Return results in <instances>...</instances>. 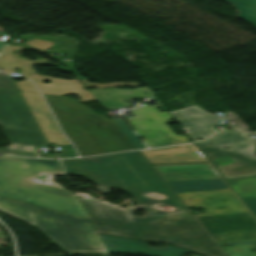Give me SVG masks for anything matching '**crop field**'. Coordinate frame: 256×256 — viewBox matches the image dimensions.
<instances>
[{"label": "crop field", "instance_id": "crop-field-7", "mask_svg": "<svg viewBox=\"0 0 256 256\" xmlns=\"http://www.w3.org/2000/svg\"><path fill=\"white\" fill-rule=\"evenodd\" d=\"M196 145L225 179L256 174L255 145L242 131H223Z\"/></svg>", "mask_w": 256, "mask_h": 256}, {"label": "crop field", "instance_id": "crop-field-18", "mask_svg": "<svg viewBox=\"0 0 256 256\" xmlns=\"http://www.w3.org/2000/svg\"><path fill=\"white\" fill-rule=\"evenodd\" d=\"M32 64H37V65H48V66H60L59 69H63L66 71L72 72L70 69L63 67L61 65H51L47 59H41L37 58L36 61L29 60V73H34V75H29V78H34V79H40V80H47V81H57V82H67V83H77L81 84L78 79L74 80H66V79H60V78H51L49 76H42V75H36L35 69H32Z\"/></svg>", "mask_w": 256, "mask_h": 256}, {"label": "crop field", "instance_id": "crop-field-13", "mask_svg": "<svg viewBox=\"0 0 256 256\" xmlns=\"http://www.w3.org/2000/svg\"><path fill=\"white\" fill-rule=\"evenodd\" d=\"M91 92L95 96L96 100L107 109L131 105L124 102V100L126 99L138 97H153L155 95L154 93V95L152 94L148 87L135 88L133 90L111 88L94 90ZM143 92H148V94H143ZM112 97L114 98L112 99Z\"/></svg>", "mask_w": 256, "mask_h": 256}, {"label": "crop field", "instance_id": "crop-field-20", "mask_svg": "<svg viewBox=\"0 0 256 256\" xmlns=\"http://www.w3.org/2000/svg\"><path fill=\"white\" fill-rule=\"evenodd\" d=\"M0 88L16 89L18 90L12 77L0 72Z\"/></svg>", "mask_w": 256, "mask_h": 256}, {"label": "crop field", "instance_id": "crop-field-6", "mask_svg": "<svg viewBox=\"0 0 256 256\" xmlns=\"http://www.w3.org/2000/svg\"><path fill=\"white\" fill-rule=\"evenodd\" d=\"M0 122L12 143L2 154L36 157L35 146L49 145L21 92L0 89Z\"/></svg>", "mask_w": 256, "mask_h": 256}, {"label": "crop field", "instance_id": "crop-field-4", "mask_svg": "<svg viewBox=\"0 0 256 256\" xmlns=\"http://www.w3.org/2000/svg\"><path fill=\"white\" fill-rule=\"evenodd\" d=\"M61 172L58 161L0 157V196L88 217L75 194L29 180L40 173Z\"/></svg>", "mask_w": 256, "mask_h": 256}, {"label": "crop field", "instance_id": "crop-field-8", "mask_svg": "<svg viewBox=\"0 0 256 256\" xmlns=\"http://www.w3.org/2000/svg\"><path fill=\"white\" fill-rule=\"evenodd\" d=\"M156 106L142 104L133 109L135 116L125 119L142 137L149 147L186 143L187 136L174 133L166 122H171V114L168 111L160 112L156 107L162 106L161 102Z\"/></svg>", "mask_w": 256, "mask_h": 256}, {"label": "crop field", "instance_id": "crop-field-5", "mask_svg": "<svg viewBox=\"0 0 256 256\" xmlns=\"http://www.w3.org/2000/svg\"><path fill=\"white\" fill-rule=\"evenodd\" d=\"M0 210L36 226L69 253L107 254L89 220L2 197Z\"/></svg>", "mask_w": 256, "mask_h": 256}, {"label": "crop field", "instance_id": "crop-field-2", "mask_svg": "<svg viewBox=\"0 0 256 256\" xmlns=\"http://www.w3.org/2000/svg\"><path fill=\"white\" fill-rule=\"evenodd\" d=\"M167 183L187 207L207 211L195 216L219 245H233L222 247L227 254L256 255V220L221 179Z\"/></svg>", "mask_w": 256, "mask_h": 256}, {"label": "crop field", "instance_id": "crop-field-12", "mask_svg": "<svg viewBox=\"0 0 256 256\" xmlns=\"http://www.w3.org/2000/svg\"><path fill=\"white\" fill-rule=\"evenodd\" d=\"M151 164L206 162L190 144L141 151Z\"/></svg>", "mask_w": 256, "mask_h": 256}, {"label": "crop field", "instance_id": "crop-field-16", "mask_svg": "<svg viewBox=\"0 0 256 256\" xmlns=\"http://www.w3.org/2000/svg\"><path fill=\"white\" fill-rule=\"evenodd\" d=\"M6 45L4 51L0 55V69L8 74L14 73L16 68L22 69V77H27L28 59L20 56V52L24 47ZM18 53L15 55V51Z\"/></svg>", "mask_w": 256, "mask_h": 256}, {"label": "crop field", "instance_id": "crop-field-24", "mask_svg": "<svg viewBox=\"0 0 256 256\" xmlns=\"http://www.w3.org/2000/svg\"><path fill=\"white\" fill-rule=\"evenodd\" d=\"M152 196V198L154 199H163V198H166L165 196L163 195H159V194H154V193H148Z\"/></svg>", "mask_w": 256, "mask_h": 256}, {"label": "crop field", "instance_id": "crop-field-1", "mask_svg": "<svg viewBox=\"0 0 256 256\" xmlns=\"http://www.w3.org/2000/svg\"><path fill=\"white\" fill-rule=\"evenodd\" d=\"M61 162L67 173L98 184L100 191L108 193L110 188L116 187L131 194L146 211L147 216L128 220L119 205L93 196L80 197L98 232L168 242L209 256H227L140 152ZM147 192L163 194L167 199H151ZM156 204L172 206L176 210L165 212L154 207Z\"/></svg>", "mask_w": 256, "mask_h": 256}, {"label": "crop field", "instance_id": "crop-field-21", "mask_svg": "<svg viewBox=\"0 0 256 256\" xmlns=\"http://www.w3.org/2000/svg\"><path fill=\"white\" fill-rule=\"evenodd\" d=\"M227 114V119L237 123L239 127L243 130L249 129V127L241 120L239 116L235 114V112H226Z\"/></svg>", "mask_w": 256, "mask_h": 256}, {"label": "crop field", "instance_id": "crop-field-3", "mask_svg": "<svg viewBox=\"0 0 256 256\" xmlns=\"http://www.w3.org/2000/svg\"><path fill=\"white\" fill-rule=\"evenodd\" d=\"M44 96L81 156L137 149L114 120H106L71 98Z\"/></svg>", "mask_w": 256, "mask_h": 256}, {"label": "crop field", "instance_id": "crop-field-25", "mask_svg": "<svg viewBox=\"0 0 256 256\" xmlns=\"http://www.w3.org/2000/svg\"><path fill=\"white\" fill-rule=\"evenodd\" d=\"M4 44H5V43L0 42V51H1V49L3 48Z\"/></svg>", "mask_w": 256, "mask_h": 256}, {"label": "crop field", "instance_id": "crop-field-28", "mask_svg": "<svg viewBox=\"0 0 256 256\" xmlns=\"http://www.w3.org/2000/svg\"><path fill=\"white\" fill-rule=\"evenodd\" d=\"M255 143H256V140H255Z\"/></svg>", "mask_w": 256, "mask_h": 256}, {"label": "crop field", "instance_id": "crop-field-14", "mask_svg": "<svg viewBox=\"0 0 256 256\" xmlns=\"http://www.w3.org/2000/svg\"><path fill=\"white\" fill-rule=\"evenodd\" d=\"M227 182L256 217V176Z\"/></svg>", "mask_w": 256, "mask_h": 256}, {"label": "crop field", "instance_id": "crop-field-11", "mask_svg": "<svg viewBox=\"0 0 256 256\" xmlns=\"http://www.w3.org/2000/svg\"><path fill=\"white\" fill-rule=\"evenodd\" d=\"M99 236L108 254L116 252H139L157 256H181L183 253L189 252L188 250L175 248L167 244L166 248H153L148 247L146 242L142 241H135L100 234Z\"/></svg>", "mask_w": 256, "mask_h": 256}, {"label": "crop field", "instance_id": "crop-field-26", "mask_svg": "<svg viewBox=\"0 0 256 256\" xmlns=\"http://www.w3.org/2000/svg\"><path fill=\"white\" fill-rule=\"evenodd\" d=\"M2 34H4V32H1V31H0V36H1Z\"/></svg>", "mask_w": 256, "mask_h": 256}, {"label": "crop field", "instance_id": "crop-field-23", "mask_svg": "<svg viewBox=\"0 0 256 256\" xmlns=\"http://www.w3.org/2000/svg\"><path fill=\"white\" fill-rule=\"evenodd\" d=\"M135 208H140L139 206H136V207H131V208H125L124 211L128 217V219H131V218H135V217H140V216H134L131 209H135ZM144 216V215H143Z\"/></svg>", "mask_w": 256, "mask_h": 256}, {"label": "crop field", "instance_id": "crop-field-15", "mask_svg": "<svg viewBox=\"0 0 256 256\" xmlns=\"http://www.w3.org/2000/svg\"><path fill=\"white\" fill-rule=\"evenodd\" d=\"M34 81L42 93L59 94V95L77 94L81 97V100H80L81 102L95 100L91 92L89 90L84 89L82 85L57 83V82L45 84L40 80H34Z\"/></svg>", "mask_w": 256, "mask_h": 256}, {"label": "crop field", "instance_id": "crop-field-9", "mask_svg": "<svg viewBox=\"0 0 256 256\" xmlns=\"http://www.w3.org/2000/svg\"><path fill=\"white\" fill-rule=\"evenodd\" d=\"M170 113L180 123L193 141H198V138L204 139L217 132L214 126L223 119L219 116L207 113L196 106L172 111Z\"/></svg>", "mask_w": 256, "mask_h": 256}, {"label": "crop field", "instance_id": "crop-field-22", "mask_svg": "<svg viewBox=\"0 0 256 256\" xmlns=\"http://www.w3.org/2000/svg\"><path fill=\"white\" fill-rule=\"evenodd\" d=\"M20 90H26V91H35L38 92L37 89L33 86V84L30 82V80L22 81V82H16Z\"/></svg>", "mask_w": 256, "mask_h": 256}, {"label": "crop field", "instance_id": "crop-field-10", "mask_svg": "<svg viewBox=\"0 0 256 256\" xmlns=\"http://www.w3.org/2000/svg\"><path fill=\"white\" fill-rule=\"evenodd\" d=\"M27 104L38 121L49 144L70 143L59 130L51 112L46 106L40 94L22 92Z\"/></svg>", "mask_w": 256, "mask_h": 256}, {"label": "crop field", "instance_id": "crop-field-27", "mask_svg": "<svg viewBox=\"0 0 256 256\" xmlns=\"http://www.w3.org/2000/svg\"><path fill=\"white\" fill-rule=\"evenodd\" d=\"M31 182H33V178H30Z\"/></svg>", "mask_w": 256, "mask_h": 256}, {"label": "crop field", "instance_id": "crop-field-19", "mask_svg": "<svg viewBox=\"0 0 256 256\" xmlns=\"http://www.w3.org/2000/svg\"><path fill=\"white\" fill-rule=\"evenodd\" d=\"M116 123L120 126V128L124 131L127 137L131 140V142L138 148H146L144 143L139 139V137L134 133V131L126 124L123 118L116 119Z\"/></svg>", "mask_w": 256, "mask_h": 256}, {"label": "crop field", "instance_id": "crop-field-17", "mask_svg": "<svg viewBox=\"0 0 256 256\" xmlns=\"http://www.w3.org/2000/svg\"><path fill=\"white\" fill-rule=\"evenodd\" d=\"M238 11V16L256 26V0H227Z\"/></svg>", "mask_w": 256, "mask_h": 256}]
</instances>
